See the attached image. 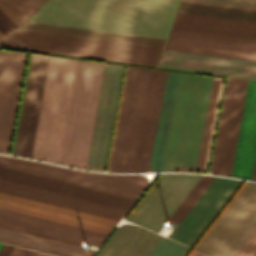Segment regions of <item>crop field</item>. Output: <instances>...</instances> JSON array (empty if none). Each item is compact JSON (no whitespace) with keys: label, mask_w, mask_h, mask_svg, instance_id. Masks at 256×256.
<instances>
[{"label":"crop field","mask_w":256,"mask_h":256,"mask_svg":"<svg viewBox=\"0 0 256 256\" xmlns=\"http://www.w3.org/2000/svg\"><path fill=\"white\" fill-rule=\"evenodd\" d=\"M77 60L50 56L31 157L58 163Z\"/></svg>","instance_id":"obj_5"},{"label":"crop field","mask_w":256,"mask_h":256,"mask_svg":"<svg viewBox=\"0 0 256 256\" xmlns=\"http://www.w3.org/2000/svg\"><path fill=\"white\" fill-rule=\"evenodd\" d=\"M161 238L145 228L123 224L97 256H148Z\"/></svg>","instance_id":"obj_21"},{"label":"crop field","mask_w":256,"mask_h":256,"mask_svg":"<svg viewBox=\"0 0 256 256\" xmlns=\"http://www.w3.org/2000/svg\"><path fill=\"white\" fill-rule=\"evenodd\" d=\"M39 7L44 4L47 0H33Z\"/></svg>","instance_id":"obj_38"},{"label":"crop field","mask_w":256,"mask_h":256,"mask_svg":"<svg viewBox=\"0 0 256 256\" xmlns=\"http://www.w3.org/2000/svg\"><path fill=\"white\" fill-rule=\"evenodd\" d=\"M0 19L14 32L18 27L0 11ZM0 20V34L6 39L13 32Z\"/></svg>","instance_id":"obj_34"},{"label":"crop field","mask_w":256,"mask_h":256,"mask_svg":"<svg viewBox=\"0 0 256 256\" xmlns=\"http://www.w3.org/2000/svg\"><path fill=\"white\" fill-rule=\"evenodd\" d=\"M162 57L256 69V62L165 50Z\"/></svg>","instance_id":"obj_27"},{"label":"crop field","mask_w":256,"mask_h":256,"mask_svg":"<svg viewBox=\"0 0 256 256\" xmlns=\"http://www.w3.org/2000/svg\"><path fill=\"white\" fill-rule=\"evenodd\" d=\"M37 252L14 246L9 256H36Z\"/></svg>","instance_id":"obj_35"},{"label":"crop field","mask_w":256,"mask_h":256,"mask_svg":"<svg viewBox=\"0 0 256 256\" xmlns=\"http://www.w3.org/2000/svg\"><path fill=\"white\" fill-rule=\"evenodd\" d=\"M241 183L215 178L169 238L193 247Z\"/></svg>","instance_id":"obj_14"},{"label":"crop field","mask_w":256,"mask_h":256,"mask_svg":"<svg viewBox=\"0 0 256 256\" xmlns=\"http://www.w3.org/2000/svg\"><path fill=\"white\" fill-rule=\"evenodd\" d=\"M189 256H208V255L193 249L192 252L189 254Z\"/></svg>","instance_id":"obj_37"},{"label":"crop field","mask_w":256,"mask_h":256,"mask_svg":"<svg viewBox=\"0 0 256 256\" xmlns=\"http://www.w3.org/2000/svg\"><path fill=\"white\" fill-rule=\"evenodd\" d=\"M234 256H256V228L237 250Z\"/></svg>","instance_id":"obj_33"},{"label":"crop field","mask_w":256,"mask_h":256,"mask_svg":"<svg viewBox=\"0 0 256 256\" xmlns=\"http://www.w3.org/2000/svg\"><path fill=\"white\" fill-rule=\"evenodd\" d=\"M24 25H25V24H24ZM26 25H28V26H36V27H44V28H52V29H59V30H67V31L82 32V33L106 35V36H113V37L129 38V39H136V40L160 42V43H163V41H164V40H161V39L145 38V37H138V36H130V35H123V34L107 33V32L92 31V30L77 29V28H69V27L54 26V25L39 24V23H31V22H27ZM22 26H23V25H22ZM22 26H21V27H22ZM21 27H20V28H21ZM22 28H24V29H32V30H40V31H48V32H56V33H64V34H72V35H80V36H88V37H95V38H103V39H111V40H119V41H127V42H135V43H143V44H151V45H159V46H162V45H163V44H160V43H152V42L128 40V39H121V38L97 36V35H90V34L66 32V31H58V30L43 29V28H35V27H27V26H23ZM165 41H166V40H165ZM164 43H165V42H164ZM163 46H164V45H163Z\"/></svg>","instance_id":"obj_25"},{"label":"crop field","mask_w":256,"mask_h":256,"mask_svg":"<svg viewBox=\"0 0 256 256\" xmlns=\"http://www.w3.org/2000/svg\"><path fill=\"white\" fill-rule=\"evenodd\" d=\"M0 190L118 220H120L126 212L125 210L79 200L3 180H0Z\"/></svg>","instance_id":"obj_23"},{"label":"crop field","mask_w":256,"mask_h":256,"mask_svg":"<svg viewBox=\"0 0 256 256\" xmlns=\"http://www.w3.org/2000/svg\"><path fill=\"white\" fill-rule=\"evenodd\" d=\"M1 44V43H0Z\"/></svg>","instance_id":"obj_44"},{"label":"crop field","mask_w":256,"mask_h":256,"mask_svg":"<svg viewBox=\"0 0 256 256\" xmlns=\"http://www.w3.org/2000/svg\"><path fill=\"white\" fill-rule=\"evenodd\" d=\"M1 246H2V243H0V248H1Z\"/></svg>","instance_id":"obj_42"},{"label":"crop field","mask_w":256,"mask_h":256,"mask_svg":"<svg viewBox=\"0 0 256 256\" xmlns=\"http://www.w3.org/2000/svg\"><path fill=\"white\" fill-rule=\"evenodd\" d=\"M179 0H50L28 21L166 39Z\"/></svg>","instance_id":"obj_1"},{"label":"crop field","mask_w":256,"mask_h":256,"mask_svg":"<svg viewBox=\"0 0 256 256\" xmlns=\"http://www.w3.org/2000/svg\"><path fill=\"white\" fill-rule=\"evenodd\" d=\"M26 53L0 50V151H9Z\"/></svg>","instance_id":"obj_16"},{"label":"crop field","mask_w":256,"mask_h":256,"mask_svg":"<svg viewBox=\"0 0 256 256\" xmlns=\"http://www.w3.org/2000/svg\"><path fill=\"white\" fill-rule=\"evenodd\" d=\"M200 177L161 174L127 220L158 233Z\"/></svg>","instance_id":"obj_11"},{"label":"crop field","mask_w":256,"mask_h":256,"mask_svg":"<svg viewBox=\"0 0 256 256\" xmlns=\"http://www.w3.org/2000/svg\"><path fill=\"white\" fill-rule=\"evenodd\" d=\"M255 155L256 81L249 80L231 176L251 180Z\"/></svg>","instance_id":"obj_20"},{"label":"crop field","mask_w":256,"mask_h":256,"mask_svg":"<svg viewBox=\"0 0 256 256\" xmlns=\"http://www.w3.org/2000/svg\"><path fill=\"white\" fill-rule=\"evenodd\" d=\"M213 177L202 176L198 183L194 186L188 196L184 199L181 205L177 208L174 214L170 217L169 220L179 223L187 211L192 207L204 190L209 186L213 181Z\"/></svg>","instance_id":"obj_30"},{"label":"crop field","mask_w":256,"mask_h":256,"mask_svg":"<svg viewBox=\"0 0 256 256\" xmlns=\"http://www.w3.org/2000/svg\"><path fill=\"white\" fill-rule=\"evenodd\" d=\"M10 37L44 41V42H52V43H60V44H68V45H76V46H84V47H92V48H100V49H108V50H116V51H124V52H132V53H140V54H148V55H156V56L160 55V51L162 48L158 46L38 32V31H30V30H22V29H18ZM12 38H8L1 46L35 50V51H43V52H51V53H59V54H66V55H74V56H82V57H90V58H97V59L121 61V62H128V63L152 65V66L156 65L157 60L159 58L156 56H148V55H140V54H132V53L116 52V51L52 44V43H44V42H36V41H28V40H20V39H12Z\"/></svg>","instance_id":"obj_7"},{"label":"crop field","mask_w":256,"mask_h":256,"mask_svg":"<svg viewBox=\"0 0 256 256\" xmlns=\"http://www.w3.org/2000/svg\"><path fill=\"white\" fill-rule=\"evenodd\" d=\"M12 248V245L3 244L2 248L0 249V256H8Z\"/></svg>","instance_id":"obj_36"},{"label":"crop field","mask_w":256,"mask_h":256,"mask_svg":"<svg viewBox=\"0 0 256 256\" xmlns=\"http://www.w3.org/2000/svg\"><path fill=\"white\" fill-rule=\"evenodd\" d=\"M256 226V184L246 182L196 249L232 256Z\"/></svg>","instance_id":"obj_9"},{"label":"crop field","mask_w":256,"mask_h":256,"mask_svg":"<svg viewBox=\"0 0 256 256\" xmlns=\"http://www.w3.org/2000/svg\"><path fill=\"white\" fill-rule=\"evenodd\" d=\"M5 39L0 35V42L2 43Z\"/></svg>","instance_id":"obj_41"},{"label":"crop field","mask_w":256,"mask_h":256,"mask_svg":"<svg viewBox=\"0 0 256 256\" xmlns=\"http://www.w3.org/2000/svg\"><path fill=\"white\" fill-rule=\"evenodd\" d=\"M249 1H256V0H249Z\"/></svg>","instance_id":"obj_43"},{"label":"crop field","mask_w":256,"mask_h":256,"mask_svg":"<svg viewBox=\"0 0 256 256\" xmlns=\"http://www.w3.org/2000/svg\"><path fill=\"white\" fill-rule=\"evenodd\" d=\"M104 63L78 60L61 164L85 168Z\"/></svg>","instance_id":"obj_6"},{"label":"crop field","mask_w":256,"mask_h":256,"mask_svg":"<svg viewBox=\"0 0 256 256\" xmlns=\"http://www.w3.org/2000/svg\"><path fill=\"white\" fill-rule=\"evenodd\" d=\"M0 224L82 244L99 246L107 234L0 208Z\"/></svg>","instance_id":"obj_18"},{"label":"crop field","mask_w":256,"mask_h":256,"mask_svg":"<svg viewBox=\"0 0 256 256\" xmlns=\"http://www.w3.org/2000/svg\"><path fill=\"white\" fill-rule=\"evenodd\" d=\"M177 11L240 20L256 21V11L192 4L181 2Z\"/></svg>","instance_id":"obj_26"},{"label":"crop field","mask_w":256,"mask_h":256,"mask_svg":"<svg viewBox=\"0 0 256 256\" xmlns=\"http://www.w3.org/2000/svg\"><path fill=\"white\" fill-rule=\"evenodd\" d=\"M159 67L256 79V70L162 58Z\"/></svg>","instance_id":"obj_24"},{"label":"crop field","mask_w":256,"mask_h":256,"mask_svg":"<svg viewBox=\"0 0 256 256\" xmlns=\"http://www.w3.org/2000/svg\"><path fill=\"white\" fill-rule=\"evenodd\" d=\"M178 75L150 71L131 172L161 169Z\"/></svg>","instance_id":"obj_4"},{"label":"crop field","mask_w":256,"mask_h":256,"mask_svg":"<svg viewBox=\"0 0 256 256\" xmlns=\"http://www.w3.org/2000/svg\"><path fill=\"white\" fill-rule=\"evenodd\" d=\"M220 81L213 80L197 169L203 170Z\"/></svg>","instance_id":"obj_29"},{"label":"crop field","mask_w":256,"mask_h":256,"mask_svg":"<svg viewBox=\"0 0 256 256\" xmlns=\"http://www.w3.org/2000/svg\"><path fill=\"white\" fill-rule=\"evenodd\" d=\"M150 69L127 66L107 171L130 172Z\"/></svg>","instance_id":"obj_8"},{"label":"crop field","mask_w":256,"mask_h":256,"mask_svg":"<svg viewBox=\"0 0 256 256\" xmlns=\"http://www.w3.org/2000/svg\"><path fill=\"white\" fill-rule=\"evenodd\" d=\"M252 180L256 181V161H255V167H254V172H253V178Z\"/></svg>","instance_id":"obj_39"},{"label":"crop field","mask_w":256,"mask_h":256,"mask_svg":"<svg viewBox=\"0 0 256 256\" xmlns=\"http://www.w3.org/2000/svg\"><path fill=\"white\" fill-rule=\"evenodd\" d=\"M212 79L180 73L161 171H195Z\"/></svg>","instance_id":"obj_3"},{"label":"crop field","mask_w":256,"mask_h":256,"mask_svg":"<svg viewBox=\"0 0 256 256\" xmlns=\"http://www.w3.org/2000/svg\"><path fill=\"white\" fill-rule=\"evenodd\" d=\"M29 17L39 8L32 0H12ZM11 0H0V10L3 11L18 27L29 17Z\"/></svg>","instance_id":"obj_28"},{"label":"crop field","mask_w":256,"mask_h":256,"mask_svg":"<svg viewBox=\"0 0 256 256\" xmlns=\"http://www.w3.org/2000/svg\"><path fill=\"white\" fill-rule=\"evenodd\" d=\"M49 56L32 54L14 153L28 156L34 139Z\"/></svg>","instance_id":"obj_17"},{"label":"crop field","mask_w":256,"mask_h":256,"mask_svg":"<svg viewBox=\"0 0 256 256\" xmlns=\"http://www.w3.org/2000/svg\"><path fill=\"white\" fill-rule=\"evenodd\" d=\"M0 179L128 210L134 199L0 167Z\"/></svg>","instance_id":"obj_19"},{"label":"crop field","mask_w":256,"mask_h":256,"mask_svg":"<svg viewBox=\"0 0 256 256\" xmlns=\"http://www.w3.org/2000/svg\"><path fill=\"white\" fill-rule=\"evenodd\" d=\"M0 207L110 234L117 220L5 193L0 191Z\"/></svg>","instance_id":"obj_15"},{"label":"crop field","mask_w":256,"mask_h":256,"mask_svg":"<svg viewBox=\"0 0 256 256\" xmlns=\"http://www.w3.org/2000/svg\"><path fill=\"white\" fill-rule=\"evenodd\" d=\"M185 248L186 246L163 237L149 256H180Z\"/></svg>","instance_id":"obj_31"},{"label":"crop field","mask_w":256,"mask_h":256,"mask_svg":"<svg viewBox=\"0 0 256 256\" xmlns=\"http://www.w3.org/2000/svg\"><path fill=\"white\" fill-rule=\"evenodd\" d=\"M0 166L134 199H137L147 186V178L142 175H107L83 172L5 156H0Z\"/></svg>","instance_id":"obj_10"},{"label":"crop field","mask_w":256,"mask_h":256,"mask_svg":"<svg viewBox=\"0 0 256 256\" xmlns=\"http://www.w3.org/2000/svg\"><path fill=\"white\" fill-rule=\"evenodd\" d=\"M165 49L256 61V22L177 12Z\"/></svg>","instance_id":"obj_2"},{"label":"crop field","mask_w":256,"mask_h":256,"mask_svg":"<svg viewBox=\"0 0 256 256\" xmlns=\"http://www.w3.org/2000/svg\"><path fill=\"white\" fill-rule=\"evenodd\" d=\"M248 80L228 77L210 173L230 176Z\"/></svg>","instance_id":"obj_12"},{"label":"crop field","mask_w":256,"mask_h":256,"mask_svg":"<svg viewBox=\"0 0 256 256\" xmlns=\"http://www.w3.org/2000/svg\"><path fill=\"white\" fill-rule=\"evenodd\" d=\"M123 68L105 63L86 168H105Z\"/></svg>","instance_id":"obj_13"},{"label":"crop field","mask_w":256,"mask_h":256,"mask_svg":"<svg viewBox=\"0 0 256 256\" xmlns=\"http://www.w3.org/2000/svg\"><path fill=\"white\" fill-rule=\"evenodd\" d=\"M181 1L256 10V2L241 1V0H181Z\"/></svg>","instance_id":"obj_32"},{"label":"crop field","mask_w":256,"mask_h":256,"mask_svg":"<svg viewBox=\"0 0 256 256\" xmlns=\"http://www.w3.org/2000/svg\"><path fill=\"white\" fill-rule=\"evenodd\" d=\"M0 241L59 256H92L94 250L0 225Z\"/></svg>","instance_id":"obj_22"},{"label":"crop field","mask_w":256,"mask_h":256,"mask_svg":"<svg viewBox=\"0 0 256 256\" xmlns=\"http://www.w3.org/2000/svg\"><path fill=\"white\" fill-rule=\"evenodd\" d=\"M37 256H49V255L38 252Z\"/></svg>","instance_id":"obj_40"}]
</instances>
